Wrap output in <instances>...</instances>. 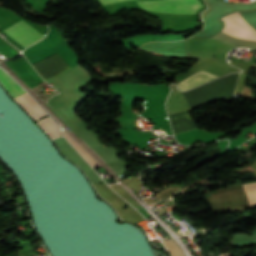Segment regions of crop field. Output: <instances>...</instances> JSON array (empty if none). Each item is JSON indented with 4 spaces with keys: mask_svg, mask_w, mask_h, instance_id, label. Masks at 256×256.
I'll use <instances>...</instances> for the list:
<instances>
[{
    "mask_svg": "<svg viewBox=\"0 0 256 256\" xmlns=\"http://www.w3.org/2000/svg\"><path fill=\"white\" fill-rule=\"evenodd\" d=\"M37 122L51 138H55L61 135L59 127L49 117H45Z\"/></svg>",
    "mask_w": 256,
    "mask_h": 256,
    "instance_id": "e52e79f7",
    "label": "crop field"
},
{
    "mask_svg": "<svg viewBox=\"0 0 256 256\" xmlns=\"http://www.w3.org/2000/svg\"><path fill=\"white\" fill-rule=\"evenodd\" d=\"M102 5L105 4H110V3H114V2H119V1H128V0H100Z\"/></svg>",
    "mask_w": 256,
    "mask_h": 256,
    "instance_id": "28ad6ade",
    "label": "crop field"
},
{
    "mask_svg": "<svg viewBox=\"0 0 256 256\" xmlns=\"http://www.w3.org/2000/svg\"><path fill=\"white\" fill-rule=\"evenodd\" d=\"M136 3L149 11L167 13L195 14L202 7L198 0H151Z\"/></svg>",
    "mask_w": 256,
    "mask_h": 256,
    "instance_id": "8a807250",
    "label": "crop field"
},
{
    "mask_svg": "<svg viewBox=\"0 0 256 256\" xmlns=\"http://www.w3.org/2000/svg\"><path fill=\"white\" fill-rule=\"evenodd\" d=\"M3 72L0 71V82L4 85V87L8 90V92L13 96V98L25 92L5 72H4L5 74Z\"/></svg>",
    "mask_w": 256,
    "mask_h": 256,
    "instance_id": "dd49c442",
    "label": "crop field"
},
{
    "mask_svg": "<svg viewBox=\"0 0 256 256\" xmlns=\"http://www.w3.org/2000/svg\"><path fill=\"white\" fill-rule=\"evenodd\" d=\"M249 206H256V182L242 184Z\"/></svg>",
    "mask_w": 256,
    "mask_h": 256,
    "instance_id": "5a996713",
    "label": "crop field"
},
{
    "mask_svg": "<svg viewBox=\"0 0 256 256\" xmlns=\"http://www.w3.org/2000/svg\"><path fill=\"white\" fill-rule=\"evenodd\" d=\"M64 136L68 139V141L84 156V158L91 164V166L96 169L99 165L86 153L85 149L82 148L78 142L70 136L66 131L62 130Z\"/></svg>",
    "mask_w": 256,
    "mask_h": 256,
    "instance_id": "d8731c3e",
    "label": "crop field"
},
{
    "mask_svg": "<svg viewBox=\"0 0 256 256\" xmlns=\"http://www.w3.org/2000/svg\"><path fill=\"white\" fill-rule=\"evenodd\" d=\"M3 31L6 32L8 35H10L12 38H14L17 42H19L24 47L28 46L29 44H31L32 42H34L35 40L43 36L36 29H34L32 26H30L28 23H26L22 19L12 24L11 26L7 27ZM42 38L43 37H41L37 41L41 40Z\"/></svg>",
    "mask_w": 256,
    "mask_h": 256,
    "instance_id": "ac0d7876",
    "label": "crop field"
},
{
    "mask_svg": "<svg viewBox=\"0 0 256 256\" xmlns=\"http://www.w3.org/2000/svg\"><path fill=\"white\" fill-rule=\"evenodd\" d=\"M15 100L33 117L35 121L46 116L38 104L26 93L15 98Z\"/></svg>",
    "mask_w": 256,
    "mask_h": 256,
    "instance_id": "f4fd0767",
    "label": "crop field"
},
{
    "mask_svg": "<svg viewBox=\"0 0 256 256\" xmlns=\"http://www.w3.org/2000/svg\"><path fill=\"white\" fill-rule=\"evenodd\" d=\"M222 20H225V21L229 22L230 24H232V25H234V26H236V27H238L242 30H246V31L256 33V31L253 30L248 25V23L242 18V16L239 14L238 11L223 17ZM227 22H225V27L222 31H224L226 33H229L231 35H234V36H238V37H241V38L256 41V34L246 32V31H242V30L230 25Z\"/></svg>",
    "mask_w": 256,
    "mask_h": 256,
    "instance_id": "34b2d1b8",
    "label": "crop field"
},
{
    "mask_svg": "<svg viewBox=\"0 0 256 256\" xmlns=\"http://www.w3.org/2000/svg\"><path fill=\"white\" fill-rule=\"evenodd\" d=\"M217 77H219V76L211 74V73L203 71V70H200V71L190 75L185 80L177 83V85H178L179 89L187 90L189 88L197 86L203 82L215 79Z\"/></svg>",
    "mask_w": 256,
    "mask_h": 256,
    "instance_id": "412701ff",
    "label": "crop field"
},
{
    "mask_svg": "<svg viewBox=\"0 0 256 256\" xmlns=\"http://www.w3.org/2000/svg\"><path fill=\"white\" fill-rule=\"evenodd\" d=\"M164 244L167 246L172 256H184V253L180 246L175 242L174 239L164 240Z\"/></svg>",
    "mask_w": 256,
    "mask_h": 256,
    "instance_id": "3316defc",
    "label": "crop field"
}]
</instances>
